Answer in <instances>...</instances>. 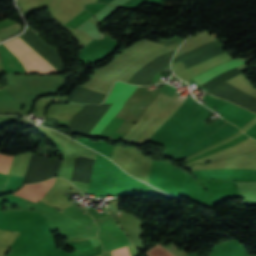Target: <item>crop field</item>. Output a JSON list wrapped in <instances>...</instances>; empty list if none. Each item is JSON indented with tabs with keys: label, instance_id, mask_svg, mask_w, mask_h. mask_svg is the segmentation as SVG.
<instances>
[{
	"label": "crop field",
	"instance_id": "crop-field-1",
	"mask_svg": "<svg viewBox=\"0 0 256 256\" xmlns=\"http://www.w3.org/2000/svg\"><path fill=\"white\" fill-rule=\"evenodd\" d=\"M4 45L18 58H25L38 53L34 51L29 45H27L20 38L4 43ZM27 73L30 72H44V73H57L58 71L52 67L43 57L40 55L21 59L20 60Z\"/></svg>",
	"mask_w": 256,
	"mask_h": 256
},
{
	"label": "crop field",
	"instance_id": "crop-field-2",
	"mask_svg": "<svg viewBox=\"0 0 256 256\" xmlns=\"http://www.w3.org/2000/svg\"><path fill=\"white\" fill-rule=\"evenodd\" d=\"M137 86L124 84L121 82H117L108 99L105 103L114 102L108 112L103 116V118L97 123V125L91 130L88 134L90 136H98L100 132L104 129V127L108 124V122L112 119V117L116 114V112L123 105L124 101L131 95V93L136 89ZM104 103V104H105Z\"/></svg>",
	"mask_w": 256,
	"mask_h": 256
},
{
	"label": "crop field",
	"instance_id": "crop-field-3",
	"mask_svg": "<svg viewBox=\"0 0 256 256\" xmlns=\"http://www.w3.org/2000/svg\"><path fill=\"white\" fill-rule=\"evenodd\" d=\"M55 178L51 179L54 180ZM54 181L42 182L40 184L24 185L22 189L13 193V195L21 196L32 201H39L48 191Z\"/></svg>",
	"mask_w": 256,
	"mask_h": 256
},
{
	"label": "crop field",
	"instance_id": "crop-field-4",
	"mask_svg": "<svg viewBox=\"0 0 256 256\" xmlns=\"http://www.w3.org/2000/svg\"><path fill=\"white\" fill-rule=\"evenodd\" d=\"M246 62H249V61L243 60V59H233V60H230V61H228L220 66H217L209 71H206L192 79L201 85L202 83L208 81L209 79H211V78H213V77H215L233 67L244 64Z\"/></svg>",
	"mask_w": 256,
	"mask_h": 256
},
{
	"label": "crop field",
	"instance_id": "crop-field-5",
	"mask_svg": "<svg viewBox=\"0 0 256 256\" xmlns=\"http://www.w3.org/2000/svg\"><path fill=\"white\" fill-rule=\"evenodd\" d=\"M230 59L231 58L226 53H224V54H222L220 56H217V57H215V58H213L211 60H208V61H206L204 63H201V64H199V65H197L195 67H192V68L188 69V72L190 73V75L192 77H194L197 74H199V73H201L203 71H206V70H208V69H210V68H212V67H214V66H216L218 64L224 63V62H226V61H228Z\"/></svg>",
	"mask_w": 256,
	"mask_h": 256
},
{
	"label": "crop field",
	"instance_id": "crop-field-6",
	"mask_svg": "<svg viewBox=\"0 0 256 256\" xmlns=\"http://www.w3.org/2000/svg\"><path fill=\"white\" fill-rule=\"evenodd\" d=\"M21 30V25L15 23L7 28L0 30V41L18 33Z\"/></svg>",
	"mask_w": 256,
	"mask_h": 256
},
{
	"label": "crop field",
	"instance_id": "crop-field-7",
	"mask_svg": "<svg viewBox=\"0 0 256 256\" xmlns=\"http://www.w3.org/2000/svg\"><path fill=\"white\" fill-rule=\"evenodd\" d=\"M11 157L12 156L0 154V172L7 173Z\"/></svg>",
	"mask_w": 256,
	"mask_h": 256
},
{
	"label": "crop field",
	"instance_id": "crop-field-8",
	"mask_svg": "<svg viewBox=\"0 0 256 256\" xmlns=\"http://www.w3.org/2000/svg\"><path fill=\"white\" fill-rule=\"evenodd\" d=\"M112 256H130L128 247L119 248L111 251Z\"/></svg>",
	"mask_w": 256,
	"mask_h": 256
},
{
	"label": "crop field",
	"instance_id": "crop-field-9",
	"mask_svg": "<svg viewBox=\"0 0 256 256\" xmlns=\"http://www.w3.org/2000/svg\"><path fill=\"white\" fill-rule=\"evenodd\" d=\"M0 99L4 100H16L14 96L6 89H0Z\"/></svg>",
	"mask_w": 256,
	"mask_h": 256
}]
</instances>
